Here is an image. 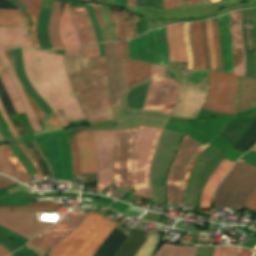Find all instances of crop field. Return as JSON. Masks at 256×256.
Wrapping results in <instances>:
<instances>
[{
  "label": "crop field",
  "instance_id": "crop-field-76",
  "mask_svg": "<svg viewBox=\"0 0 256 256\" xmlns=\"http://www.w3.org/2000/svg\"><path fill=\"white\" fill-rule=\"evenodd\" d=\"M215 1H219V0H211V3H212V2H215Z\"/></svg>",
  "mask_w": 256,
  "mask_h": 256
},
{
  "label": "crop field",
  "instance_id": "crop-field-54",
  "mask_svg": "<svg viewBox=\"0 0 256 256\" xmlns=\"http://www.w3.org/2000/svg\"><path fill=\"white\" fill-rule=\"evenodd\" d=\"M244 207L256 211V190L248 197Z\"/></svg>",
  "mask_w": 256,
  "mask_h": 256
},
{
  "label": "crop field",
  "instance_id": "crop-field-32",
  "mask_svg": "<svg viewBox=\"0 0 256 256\" xmlns=\"http://www.w3.org/2000/svg\"><path fill=\"white\" fill-rule=\"evenodd\" d=\"M18 2L26 8L27 13L32 18V22L36 23L38 13L41 8V0H18ZM31 30H32V36H33L35 48L40 49L37 44V40L35 36L36 24L32 25Z\"/></svg>",
  "mask_w": 256,
  "mask_h": 256
},
{
  "label": "crop field",
  "instance_id": "crop-field-12",
  "mask_svg": "<svg viewBox=\"0 0 256 256\" xmlns=\"http://www.w3.org/2000/svg\"><path fill=\"white\" fill-rule=\"evenodd\" d=\"M136 131L137 129H120L116 131L113 179L117 188L132 187L130 158Z\"/></svg>",
  "mask_w": 256,
  "mask_h": 256
},
{
  "label": "crop field",
  "instance_id": "crop-field-64",
  "mask_svg": "<svg viewBox=\"0 0 256 256\" xmlns=\"http://www.w3.org/2000/svg\"><path fill=\"white\" fill-rule=\"evenodd\" d=\"M19 185H21V184L16 183V184H14V185H12V186H9V187H7V188L0 189V195L8 194L9 192H8L7 190L12 189V188H14V187H17V186H19Z\"/></svg>",
  "mask_w": 256,
  "mask_h": 256
},
{
  "label": "crop field",
  "instance_id": "crop-field-53",
  "mask_svg": "<svg viewBox=\"0 0 256 256\" xmlns=\"http://www.w3.org/2000/svg\"><path fill=\"white\" fill-rule=\"evenodd\" d=\"M173 245L164 244L154 256H171L174 250Z\"/></svg>",
  "mask_w": 256,
  "mask_h": 256
},
{
  "label": "crop field",
  "instance_id": "crop-field-77",
  "mask_svg": "<svg viewBox=\"0 0 256 256\" xmlns=\"http://www.w3.org/2000/svg\"><path fill=\"white\" fill-rule=\"evenodd\" d=\"M252 150H256V146Z\"/></svg>",
  "mask_w": 256,
  "mask_h": 256
},
{
  "label": "crop field",
  "instance_id": "crop-field-28",
  "mask_svg": "<svg viewBox=\"0 0 256 256\" xmlns=\"http://www.w3.org/2000/svg\"><path fill=\"white\" fill-rule=\"evenodd\" d=\"M59 31L65 48L80 46L73 19L70 15L69 4L66 3H64V11L60 19Z\"/></svg>",
  "mask_w": 256,
  "mask_h": 256
},
{
  "label": "crop field",
  "instance_id": "crop-field-66",
  "mask_svg": "<svg viewBox=\"0 0 256 256\" xmlns=\"http://www.w3.org/2000/svg\"><path fill=\"white\" fill-rule=\"evenodd\" d=\"M238 256H252V252H250L248 249L242 248V253H238Z\"/></svg>",
  "mask_w": 256,
  "mask_h": 256
},
{
  "label": "crop field",
  "instance_id": "crop-field-22",
  "mask_svg": "<svg viewBox=\"0 0 256 256\" xmlns=\"http://www.w3.org/2000/svg\"><path fill=\"white\" fill-rule=\"evenodd\" d=\"M34 48L30 27H0V48Z\"/></svg>",
  "mask_w": 256,
  "mask_h": 256
},
{
  "label": "crop field",
  "instance_id": "crop-field-62",
  "mask_svg": "<svg viewBox=\"0 0 256 256\" xmlns=\"http://www.w3.org/2000/svg\"><path fill=\"white\" fill-rule=\"evenodd\" d=\"M14 183H16V182L11 181L9 179H0V188L7 187V186L12 185Z\"/></svg>",
  "mask_w": 256,
  "mask_h": 256
},
{
  "label": "crop field",
  "instance_id": "crop-field-39",
  "mask_svg": "<svg viewBox=\"0 0 256 256\" xmlns=\"http://www.w3.org/2000/svg\"><path fill=\"white\" fill-rule=\"evenodd\" d=\"M212 29H213V38H214V44H215V50H216L217 70L222 71L219 40H218L217 18L212 19Z\"/></svg>",
  "mask_w": 256,
  "mask_h": 256
},
{
  "label": "crop field",
  "instance_id": "crop-field-63",
  "mask_svg": "<svg viewBox=\"0 0 256 256\" xmlns=\"http://www.w3.org/2000/svg\"><path fill=\"white\" fill-rule=\"evenodd\" d=\"M175 7L174 0H164V9Z\"/></svg>",
  "mask_w": 256,
  "mask_h": 256
},
{
  "label": "crop field",
  "instance_id": "crop-field-2",
  "mask_svg": "<svg viewBox=\"0 0 256 256\" xmlns=\"http://www.w3.org/2000/svg\"><path fill=\"white\" fill-rule=\"evenodd\" d=\"M63 59L73 91L88 122L114 119L106 58L63 55Z\"/></svg>",
  "mask_w": 256,
  "mask_h": 256
},
{
  "label": "crop field",
  "instance_id": "crop-field-80",
  "mask_svg": "<svg viewBox=\"0 0 256 256\" xmlns=\"http://www.w3.org/2000/svg\"><path fill=\"white\" fill-rule=\"evenodd\" d=\"M1 134V133H0Z\"/></svg>",
  "mask_w": 256,
  "mask_h": 256
},
{
  "label": "crop field",
  "instance_id": "crop-field-14",
  "mask_svg": "<svg viewBox=\"0 0 256 256\" xmlns=\"http://www.w3.org/2000/svg\"><path fill=\"white\" fill-rule=\"evenodd\" d=\"M199 144L187 134L181 142L168 176V203L179 204L183 178Z\"/></svg>",
  "mask_w": 256,
  "mask_h": 256
},
{
  "label": "crop field",
  "instance_id": "crop-field-49",
  "mask_svg": "<svg viewBox=\"0 0 256 256\" xmlns=\"http://www.w3.org/2000/svg\"><path fill=\"white\" fill-rule=\"evenodd\" d=\"M161 39H162V45L164 49V65L168 66L169 54H168V46H167V39H166V26L161 28Z\"/></svg>",
  "mask_w": 256,
  "mask_h": 256
},
{
  "label": "crop field",
  "instance_id": "crop-field-55",
  "mask_svg": "<svg viewBox=\"0 0 256 256\" xmlns=\"http://www.w3.org/2000/svg\"><path fill=\"white\" fill-rule=\"evenodd\" d=\"M127 18V11L122 10L121 17H120V32L122 35V39L125 40V22Z\"/></svg>",
  "mask_w": 256,
  "mask_h": 256
},
{
  "label": "crop field",
  "instance_id": "crop-field-9",
  "mask_svg": "<svg viewBox=\"0 0 256 256\" xmlns=\"http://www.w3.org/2000/svg\"><path fill=\"white\" fill-rule=\"evenodd\" d=\"M183 136V133L167 130L163 131L150 175L154 196L166 199V178L168 168Z\"/></svg>",
  "mask_w": 256,
  "mask_h": 256
},
{
  "label": "crop field",
  "instance_id": "crop-field-11",
  "mask_svg": "<svg viewBox=\"0 0 256 256\" xmlns=\"http://www.w3.org/2000/svg\"><path fill=\"white\" fill-rule=\"evenodd\" d=\"M164 66L152 64V81L148 88L143 109L159 110L171 113L176 103L179 84L163 78Z\"/></svg>",
  "mask_w": 256,
  "mask_h": 256
},
{
  "label": "crop field",
  "instance_id": "crop-field-40",
  "mask_svg": "<svg viewBox=\"0 0 256 256\" xmlns=\"http://www.w3.org/2000/svg\"><path fill=\"white\" fill-rule=\"evenodd\" d=\"M207 39H208V47H209V53H210L211 69L216 70L215 51H214L213 40H212L211 19L207 20Z\"/></svg>",
  "mask_w": 256,
  "mask_h": 256
},
{
  "label": "crop field",
  "instance_id": "crop-field-72",
  "mask_svg": "<svg viewBox=\"0 0 256 256\" xmlns=\"http://www.w3.org/2000/svg\"><path fill=\"white\" fill-rule=\"evenodd\" d=\"M127 5L129 6H135V0H128Z\"/></svg>",
  "mask_w": 256,
  "mask_h": 256
},
{
  "label": "crop field",
  "instance_id": "crop-field-45",
  "mask_svg": "<svg viewBox=\"0 0 256 256\" xmlns=\"http://www.w3.org/2000/svg\"><path fill=\"white\" fill-rule=\"evenodd\" d=\"M87 9H88L89 17H90V20H91L94 32H95V34L97 36L98 42L101 43V42H103L102 35H101L100 30L98 28V24L96 22V18H95L94 11L92 9V5L91 4H87Z\"/></svg>",
  "mask_w": 256,
  "mask_h": 256
},
{
  "label": "crop field",
  "instance_id": "crop-field-59",
  "mask_svg": "<svg viewBox=\"0 0 256 256\" xmlns=\"http://www.w3.org/2000/svg\"><path fill=\"white\" fill-rule=\"evenodd\" d=\"M0 112H1L2 116L4 117V119H5L6 123H7V125L9 126V128H10V130H11L13 136H14V137H17L18 134H17V132L15 131V129L13 128L12 124L10 123V121H9V119H8L6 113H5V110H4V108H3V105H2V103H1V101H0Z\"/></svg>",
  "mask_w": 256,
  "mask_h": 256
},
{
  "label": "crop field",
  "instance_id": "crop-field-7",
  "mask_svg": "<svg viewBox=\"0 0 256 256\" xmlns=\"http://www.w3.org/2000/svg\"><path fill=\"white\" fill-rule=\"evenodd\" d=\"M209 70H182L178 103L171 117L195 119L208 92Z\"/></svg>",
  "mask_w": 256,
  "mask_h": 256
},
{
  "label": "crop field",
  "instance_id": "crop-field-52",
  "mask_svg": "<svg viewBox=\"0 0 256 256\" xmlns=\"http://www.w3.org/2000/svg\"><path fill=\"white\" fill-rule=\"evenodd\" d=\"M18 146L21 148V150L23 151V153L27 156V158L30 160V162L32 163L33 167L35 168L37 174H38V180H43L42 175L40 173V169L38 167V165L36 164L35 160L32 158V156L28 153V151L23 147L22 144H18Z\"/></svg>",
  "mask_w": 256,
  "mask_h": 256
},
{
  "label": "crop field",
  "instance_id": "crop-field-42",
  "mask_svg": "<svg viewBox=\"0 0 256 256\" xmlns=\"http://www.w3.org/2000/svg\"><path fill=\"white\" fill-rule=\"evenodd\" d=\"M196 44H197V49L199 53L200 69H205L204 53H203L201 38H200V22H196Z\"/></svg>",
  "mask_w": 256,
  "mask_h": 256
},
{
  "label": "crop field",
  "instance_id": "crop-field-56",
  "mask_svg": "<svg viewBox=\"0 0 256 256\" xmlns=\"http://www.w3.org/2000/svg\"><path fill=\"white\" fill-rule=\"evenodd\" d=\"M0 131L2 133L3 137H8V136H12L8 126L6 125L3 117L0 114Z\"/></svg>",
  "mask_w": 256,
  "mask_h": 256
},
{
  "label": "crop field",
  "instance_id": "crop-field-71",
  "mask_svg": "<svg viewBox=\"0 0 256 256\" xmlns=\"http://www.w3.org/2000/svg\"><path fill=\"white\" fill-rule=\"evenodd\" d=\"M99 47H100V57H105L103 43L99 44Z\"/></svg>",
  "mask_w": 256,
  "mask_h": 256
},
{
  "label": "crop field",
  "instance_id": "crop-field-48",
  "mask_svg": "<svg viewBox=\"0 0 256 256\" xmlns=\"http://www.w3.org/2000/svg\"><path fill=\"white\" fill-rule=\"evenodd\" d=\"M93 9L95 11L100 30L102 32L104 42H107V41H109V39H108V34H107L106 27H105V23H104V20L102 18V15H101L100 7H96V8H93Z\"/></svg>",
  "mask_w": 256,
  "mask_h": 256
},
{
  "label": "crop field",
  "instance_id": "crop-field-27",
  "mask_svg": "<svg viewBox=\"0 0 256 256\" xmlns=\"http://www.w3.org/2000/svg\"><path fill=\"white\" fill-rule=\"evenodd\" d=\"M233 162L223 159V161L219 164L218 168L208 179L201 195V200L199 207L201 208H209L212 195L215 191V188L218 182L222 179V177L229 171Z\"/></svg>",
  "mask_w": 256,
  "mask_h": 256
},
{
  "label": "crop field",
  "instance_id": "crop-field-21",
  "mask_svg": "<svg viewBox=\"0 0 256 256\" xmlns=\"http://www.w3.org/2000/svg\"><path fill=\"white\" fill-rule=\"evenodd\" d=\"M242 33L246 54L247 77L255 78L256 75V48L252 27V9L242 11Z\"/></svg>",
  "mask_w": 256,
  "mask_h": 256
},
{
  "label": "crop field",
  "instance_id": "crop-field-24",
  "mask_svg": "<svg viewBox=\"0 0 256 256\" xmlns=\"http://www.w3.org/2000/svg\"><path fill=\"white\" fill-rule=\"evenodd\" d=\"M223 71L233 73L229 13L218 18Z\"/></svg>",
  "mask_w": 256,
  "mask_h": 256
},
{
  "label": "crop field",
  "instance_id": "crop-field-36",
  "mask_svg": "<svg viewBox=\"0 0 256 256\" xmlns=\"http://www.w3.org/2000/svg\"><path fill=\"white\" fill-rule=\"evenodd\" d=\"M2 149L3 153L13 162L14 166L18 170L20 177L23 182L25 183H30L29 178L22 166V164L19 162V160L15 157V155L12 153V151L8 148L7 145L0 146Z\"/></svg>",
  "mask_w": 256,
  "mask_h": 256
},
{
  "label": "crop field",
  "instance_id": "crop-field-79",
  "mask_svg": "<svg viewBox=\"0 0 256 256\" xmlns=\"http://www.w3.org/2000/svg\"><path fill=\"white\" fill-rule=\"evenodd\" d=\"M0 178H4V177H1V176H0Z\"/></svg>",
  "mask_w": 256,
  "mask_h": 256
},
{
  "label": "crop field",
  "instance_id": "crop-field-19",
  "mask_svg": "<svg viewBox=\"0 0 256 256\" xmlns=\"http://www.w3.org/2000/svg\"><path fill=\"white\" fill-rule=\"evenodd\" d=\"M35 212H0V224L24 236L28 240L50 226L34 225Z\"/></svg>",
  "mask_w": 256,
  "mask_h": 256
},
{
  "label": "crop field",
  "instance_id": "crop-field-13",
  "mask_svg": "<svg viewBox=\"0 0 256 256\" xmlns=\"http://www.w3.org/2000/svg\"><path fill=\"white\" fill-rule=\"evenodd\" d=\"M52 138L62 178L63 180H73L69 140L66 135ZM35 144L46 157L53 172V180H62L51 137L45 138Z\"/></svg>",
  "mask_w": 256,
  "mask_h": 256
},
{
  "label": "crop field",
  "instance_id": "crop-field-1",
  "mask_svg": "<svg viewBox=\"0 0 256 256\" xmlns=\"http://www.w3.org/2000/svg\"><path fill=\"white\" fill-rule=\"evenodd\" d=\"M27 78L47 102L63 127L67 121L85 119L72 92L62 55L22 49Z\"/></svg>",
  "mask_w": 256,
  "mask_h": 256
},
{
  "label": "crop field",
  "instance_id": "crop-field-29",
  "mask_svg": "<svg viewBox=\"0 0 256 256\" xmlns=\"http://www.w3.org/2000/svg\"><path fill=\"white\" fill-rule=\"evenodd\" d=\"M62 6H63V3L54 2L51 16H50L48 31H49V36H50L53 49L64 48L61 43V39L58 31V23L62 15Z\"/></svg>",
  "mask_w": 256,
  "mask_h": 256
},
{
  "label": "crop field",
  "instance_id": "crop-field-37",
  "mask_svg": "<svg viewBox=\"0 0 256 256\" xmlns=\"http://www.w3.org/2000/svg\"><path fill=\"white\" fill-rule=\"evenodd\" d=\"M0 173L7 174V175L21 181L15 167L7 159V157L2 153L1 150H0Z\"/></svg>",
  "mask_w": 256,
  "mask_h": 256
},
{
  "label": "crop field",
  "instance_id": "crop-field-10",
  "mask_svg": "<svg viewBox=\"0 0 256 256\" xmlns=\"http://www.w3.org/2000/svg\"><path fill=\"white\" fill-rule=\"evenodd\" d=\"M237 76L210 70L209 92L203 108L235 114Z\"/></svg>",
  "mask_w": 256,
  "mask_h": 256
},
{
  "label": "crop field",
  "instance_id": "crop-field-65",
  "mask_svg": "<svg viewBox=\"0 0 256 256\" xmlns=\"http://www.w3.org/2000/svg\"><path fill=\"white\" fill-rule=\"evenodd\" d=\"M110 46H111V58H117L116 42L110 43Z\"/></svg>",
  "mask_w": 256,
  "mask_h": 256
},
{
  "label": "crop field",
  "instance_id": "crop-field-16",
  "mask_svg": "<svg viewBox=\"0 0 256 256\" xmlns=\"http://www.w3.org/2000/svg\"><path fill=\"white\" fill-rule=\"evenodd\" d=\"M88 214L72 211L68 216L56 225L35 236L28 245L34 246L44 254L53 248L58 242L73 232Z\"/></svg>",
  "mask_w": 256,
  "mask_h": 256
},
{
  "label": "crop field",
  "instance_id": "crop-field-75",
  "mask_svg": "<svg viewBox=\"0 0 256 256\" xmlns=\"http://www.w3.org/2000/svg\"><path fill=\"white\" fill-rule=\"evenodd\" d=\"M201 1H210V0H198V2H201Z\"/></svg>",
  "mask_w": 256,
  "mask_h": 256
},
{
  "label": "crop field",
  "instance_id": "crop-field-15",
  "mask_svg": "<svg viewBox=\"0 0 256 256\" xmlns=\"http://www.w3.org/2000/svg\"><path fill=\"white\" fill-rule=\"evenodd\" d=\"M71 154L74 174H97V155L90 129L74 134Z\"/></svg>",
  "mask_w": 256,
  "mask_h": 256
},
{
  "label": "crop field",
  "instance_id": "crop-field-61",
  "mask_svg": "<svg viewBox=\"0 0 256 256\" xmlns=\"http://www.w3.org/2000/svg\"><path fill=\"white\" fill-rule=\"evenodd\" d=\"M67 55L82 56L81 48L65 50Z\"/></svg>",
  "mask_w": 256,
  "mask_h": 256
},
{
  "label": "crop field",
  "instance_id": "crop-field-4",
  "mask_svg": "<svg viewBox=\"0 0 256 256\" xmlns=\"http://www.w3.org/2000/svg\"><path fill=\"white\" fill-rule=\"evenodd\" d=\"M104 215L91 211L84 222L49 251V256H92L117 225Z\"/></svg>",
  "mask_w": 256,
  "mask_h": 256
},
{
  "label": "crop field",
  "instance_id": "crop-field-51",
  "mask_svg": "<svg viewBox=\"0 0 256 256\" xmlns=\"http://www.w3.org/2000/svg\"><path fill=\"white\" fill-rule=\"evenodd\" d=\"M83 56H94L99 57L98 44L91 45L89 47L82 48Z\"/></svg>",
  "mask_w": 256,
  "mask_h": 256
},
{
  "label": "crop field",
  "instance_id": "crop-field-35",
  "mask_svg": "<svg viewBox=\"0 0 256 256\" xmlns=\"http://www.w3.org/2000/svg\"><path fill=\"white\" fill-rule=\"evenodd\" d=\"M161 236L150 233L148 239L135 256H151L154 248L158 244Z\"/></svg>",
  "mask_w": 256,
  "mask_h": 256
},
{
  "label": "crop field",
  "instance_id": "crop-field-34",
  "mask_svg": "<svg viewBox=\"0 0 256 256\" xmlns=\"http://www.w3.org/2000/svg\"><path fill=\"white\" fill-rule=\"evenodd\" d=\"M148 84L130 91L128 100H127V104L129 107L137 108V109L143 108Z\"/></svg>",
  "mask_w": 256,
  "mask_h": 256
},
{
  "label": "crop field",
  "instance_id": "crop-field-17",
  "mask_svg": "<svg viewBox=\"0 0 256 256\" xmlns=\"http://www.w3.org/2000/svg\"><path fill=\"white\" fill-rule=\"evenodd\" d=\"M114 131L115 130H92L97 146L98 180L96 192L99 193L101 188L112 184L111 163Z\"/></svg>",
  "mask_w": 256,
  "mask_h": 256
},
{
  "label": "crop field",
  "instance_id": "crop-field-69",
  "mask_svg": "<svg viewBox=\"0 0 256 256\" xmlns=\"http://www.w3.org/2000/svg\"><path fill=\"white\" fill-rule=\"evenodd\" d=\"M49 122L52 124V125H57L59 126V122L57 121L55 115L52 116V118L49 120Z\"/></svg>",
  "mask_w": 256,
  "mask_h": 256
},
{
  "label": "crop field",
  "instance_id": "crop-field-58",
  "mask_svg": "<svg viewBox=\"0 0 256 256\" xmlns=\"http://www.w3.org/2000/svg\"><path fill=\"white\" fill-rule=\"evenodd\" d=\"M138 22H139V26H138V36H139L147 32L148 20L145 18H139Z\"/></svg>",
  "mask_w": 256,
  "mask_h": 256
},
{
  "label": "crop field",
  "instance_id": "crop-field-78",
  "mask_svg": "<svg viewBox=\"0 0 256 256\" xmlns=\"http://www.w3.org/2000/svg\"><path fill=\"white\" fill-rule=\"evenodd\" d=\"M8 256H12V255L10 254V255H8Z\"/></svg>",
  "mask_w": 256,
  "mask_h": 256
},
{
  "label": "crop field",
  "instance_id": "crop-field-50",
  "mask_svg": "<svg viewBox=\"0 0 256 256\" xmlns=\"http://www.w3.org/2000/svg\"><path fill=\"white\" fill-rule=\"evenodd\" d=\"M137 6H152L163 9V0H137Z\"/></svg>",
  "mask_w": 256,
  "mask_h": 256
},
{
  "label": "crop field",
  "instance_id": "crop-field-5",
  "mask_svg": "<svg viewBox=\"0 0 256 256\" xmlns=\"http://www.w3.org/2000/svg\"><path fill=\"white\" fill-rule=\"evenodd\" d=\"M162 130L145 126H139L138 128L131 159L132 182L136 195L151 197L148 175L156 144Z\"/></svg>",
  "mask_w": 256,
  "mask_h": 256
},
{
  "label": "crop field",
  "instance_id": "crop-field-6",
  "mask_svg": "<svg viewBox=\"0 0 256 256\" xmlns=\"http://www.w3.org/2000/svg\"><path fill=\"white\" fill-rule=\"evenodd\" d=\"M256 187V166L236 162L216 191L214 206L241 209Z\"/></svg>",
  "mask_w": 256,
  "mask_h": 256
},
{
  "label": "crop field",
  "instance_id": "crop-field-26",
  "mask_svg": "<svg viewBox=\"0 0 256 256\" xmlns=\"http://www.w3.org/2000/svg\"><path fill=\"white\" fill-rule=\"evenodd\" d=\"M238 94V91H237ZM237 102V97H236ZM256 106V79L239 76L238 103H236L237 113L247 108Z\"/></svg>",
  "mask_w": 256,
  "mask_h": 256
},
{
  "label": "crop field",
  "instance_id": "crop-field-41",
  "mask_svg": "<svg viewBox=\"0 0 256 256\" xmlns=\"http://www.w3.org/2000/svg\"><path fill=\"white\" fill-rule=\"evenodd\" d=\"M184 40L186 43L187 54H188V69H193V56L189 43V23H184Z\"/></svg>",
  "mask_w": 256,
  "mask_h": 256
},
{
  "label": "crop field",
  "instance_id": "crop-field-3",
  "mask_svg": "<svg viewBox=\"0 0 256 256\" xmlns=\"http://www.w3.org/2000/svg\"><path fill=\"white\" fill-rule=\"evenodd\" d=\"M14 49H15V53H16L19 75H20L23 83L25 84L29 94L34 98V100L41 106V108L44 111H46L48 113L51 112V110L49 109L46 102L35 92V90L30 85V83L28 82V80L26 78L24 68H23L21 49H19V48H14ZM14 49L13 48L12 49H4V52L11 64L24 92L26 93L39 121H43L45 118V115L47 113H45L40 108V106L33 100V98L28 94L25 86L23 85V83L18 75V72H17ZM16 76L14 75L3 51L0 50V79L10 97V100H11L17 114L25 112L31 125H32L33 130L34 131L40 130V129H42L41 125H40L34 111L32 110Z\"/></svg>",
  "mask_w": 256,
  "mask_h": 256
},
{
  "label": "crop field",
  "instance_id": "crop-field-67",
  "mask_svg": "<svg viewBox=\"0 0 256 256\" xmlns=\"http://www.w3.org/2000/svg\"><path fill=\"white\" fill-rule=\"evenodd\" d=\"M9 253H12V252H10V251L7 250L5 247H3V246L0 245V256H5V255H7V254H9Z\"/></svg>",
  "mask_w": 256,
  "mask_h": 256
},
{
  "label": "crop field",
  "instance_id": "crop-field-30",
  "mask_svg": "<svg viewBox=\"0 0 256 256\" xmlns=\"http://www.w3.org/2000/svg\"><path fill=\"white\" fill-rule=\"evenodd\" d=\"M51 9H42L39 14L37 37L41 49H52L49 43V36L47 32L48 19Z\"/></svg>",
  "mask_w": 256,
  "mask_h": 256
},
{
  "label": "crop field",
  "instance_id": "crop-field-68",
  "mask_svg": "<svg viewBox=\"0 0 256 256\" xmlns=\"http://www.w3.org/2000/svg\"><path fill=\"white\" fill-rule=\"evenodd\" d=\"M124 58L128 59L127 41H123Z\"/></svg>",
  "mask_w": 256,
  "mask_h": 256
},
{
  "label": "crop field",
  "instance_id": "crop-field-44",
  "mask_svg": "<svg viewBox=\"0 0 256 256\" xmlns=\"http://www.w3.org/2000/svg\"><path fill=\"white\" fill-rule=\"evenodd\" d=\"M201 38H202L203 49L205 53L206 69H210L209 53H208L207 40H206V21L201 22Z\"/></svg>",
  "mask_w": 256,
  "mask_h": 256
},
{
  "label": "crop field",
  "instance_id": "crop-field-46",
  "mask_svg": "<svg viewBox=\"0 0 256 256\" xmlns=\"http://www.w3.org/2000/svg\"><path fill=\"white\" fill-rule=\"evenodd\" d=\"M196 247L176 246L173 256H193Z\"/></svg>",
  "mask_w": 256,
  "mask_h": 256
},
{
  "label": "crop field",
  "instance_id": "crop-field-60",
  "mask_svg": "<svg viewBox=\"0 0 256 256\" xmlns=\"http://www.w3.org/2000/svg\"><path fill=\"white\" fill-rule=\"evenodd\" d=\"M206 146H208V144H207ZM206 146H204V147L198 152V154H199ZM198 154H197V155L195 156V158L193 159V161H192V163H191V165H190V167H189V169H188V171H187V174H186V176H185V180H184V184H183V188H182V193H181V204H183V205H184V202H183L184 188H185V186H186V183H187V180H188V177H189L191 168H192V166H193V163H194L196 157L198 156Z\"/></svg>",
  "mask_w": 256,
  "mask_h": 256
},
{
  "label": "crop field",
  "instance_id": "crop-field-47",
  "mask_svg": "<svg viewBox=\"0 0 256 256\" xmlns=\"http://www.w3.org/2000/svg\"><path fill=\"white\" fill-rule=\"evenodd\" d=\"M236 247H215L213 256H235Z\"/></svg>",
  "mask_w": 256,
  "mask_h": 256
},
{
  "label": "crop field",
  "instance_id": "crop-field-73",
  "mask_svg": "<svg viewBox=\"0 0 256 256\" xmlns=\"http://www.w3.org/2000/svg\"><path fill=\"white\" fill-rule=\"evenodd\" d=\"M175 2H176V7L181 6V2H180V0H175Z\"/></svg>",
  "mask_w": 256,
  "mask_h": 256
},
{
  "label": "crop field",
  "instance_id": "crop-field-8",
  "mask_svg": "<svg viewBox=\"0 0 256 256\" xmlns=\"http://www.w3.org/2000/svg\"><path fill=\"white\" fill-rule=\"evenodd\" d=\"M107 61L112 105L115 106L121 93L126 90L125 60L107 58ZM150 67L149 63L126 60L127 87L150 77Z\"/></svg>",
  "mask_w": 256,
  "mask_h": 256
},
{
  "label": "crop field",
  "instance_id": "crop-field-25",
  "mask_svg": "<svg viewBox=\"0 0 256 256\" xmlns=\"http://www.w3.org/2000/svg\"><path fill=\"white\" fill-rule=\"evenodd\" d=\"M81 45L97 43L86 8H70Z\"/></svg>",
  "mask_w": 256,
  "mask_h": 256
},
{
  "label": "crop field",
  "instance_id": "crop-field-74",
  "mask_svg": "<svg viewBox=\"0 0 256 256\" xmlns=\"http://www.w3.org/2000/svg\"><path fill=\"white\" fill-rule=\"evenodd\" d=\"M187 1H188V4L197 2V0H187Z\"/></svg>",
  "mask_w": 256,
  "mask_h": 256
},
{
  "label": "crop field",
  "instance_id": "crop-field-70",
  "mask_svg": "<svg viewBox=\"0 0 256 256\" xmlns=\"http://www.w3.org/2000/svg\"><path fill=\"white\" fill-rule=\"evenodd\" d=\"M105 45V49H106V57L110 58V47H109V43H104Z\"/></svg>",
  "mask_w": 256,
  "mask_h": 256
},
{
  "label": "crop field",
  "instance_id": "crop-field-57",
  "mask_svg": "<svg viewBox=\"0 0 256 256\" xmlns=\"http://www.w3.org/2000/svg\"><path fill=\"white\" fill-rule=\"evenodd\" d=\"M214 247L200 246L196 256H212Z\"/></svg>",
  "mask_w": 256,
  "mask_h": 256
},
{
  "label": "crop field",
  "instance_id": "crop-field-38",
  "mask_svg": "<svg viewBox=\"0 0 256 256\" xmlns=\"http://www.w3.org/2000/svg\"><path fill=\"white\" fill-rule=\"evenodd\" d=\"M10 148L13 150V152L16 154V156L19 158V160L22 162L26 170L28 171L30 176L36 175L32 165L28 161V159L25 157V155L22 153V151L17 147L16 144L9 145Z\"/></svg>",
  "mask_w": 256,
  "mask_h": 256
},
{
  "label": "crop field",
  "instance_id": "crop-field-18",
  "mask_svg": "<svg viewBox=\"0 0 256 256\" xmlns=\"http://www.w3.org/2000/svg\"><path fill=\"white\" fill-rule=\"evenodd\" d=\"M129 59L163 65L159 28L128 41Z\"/></svg>",
  "mask_w": 256,
  "mask_h": 256
},
{
  "label": "crop field",
  "instance_id": "crop-field-33",
  "mask_svg": "<svg viewBox=\"0 0 256 256\" xmlns=\"http://www.w3.org/2000/svg\"><path fill=\"white\" fill-rule=\"evenodd\" d=\"M57 205L58 204L56 203L11 205V206H0V210H34V211L56 212Z\"/></svg>",
  "mask_w": 256,
  "mask_h": 256
},
{
  "label": "crop field",
  "instance_id": "crop-field-43",
  "mask_svg": "<svg viewBox=\"0 0 256 256\" xmlns=\"http://www.w3.org/2000/svg\"><path fill=\"white\" fill-rule=\"evenodd\" d=\"M190 43L194 56V69H199L198 53L195 44V23L190 24Z\"/></svg>",
  "mask_w": 256,
  "mask_h": 256
},
{
  "label": "crop field",
  "instance_id": "crop-field-31",
  "mask_svg": "<svg viewBox=\"0 0 256 256\" xmlns=\"http://www.w3.org/2000/svg\"><path fill=\"white\" fill-rule=\"evenodd\" d=\"M0 25H28V19L21 10H0Z\"/></svg>",
  "mask_w": 256,
  "mask_h": 256
},
{
  "label": "crop field",
  "instance_id": "crop-field-23",
  "mask_svg": "<svg viewBox=\"0 0 256 256\" xmlns=\"http://www.w3.org/2000/svg\"><path fill=\"white\" fill-rule=\"evenodd\" d=\"M170 62H187L183 41V23L167 26Z\"/></svg>",
  "mask_w": 256,
  "mask_h": 256
},
{
  "label": "crop field",
  "instance_id": "crop-field-20",
  "mask_svg": "<svg viewBox=\"0 0 256 256\" xmlns=\"http://www.w3.org/2000/svg\"><path fill=\"white\" fill-rule=\"evenodd\" d=\"M230 26L234 59V74L244 76L245 55L241 33V11H234L230 13Z\"/></svg>",
  "mask_w": 256,
  "mask_h": 256
}]
</instances>
